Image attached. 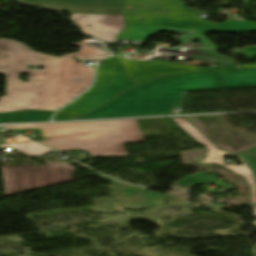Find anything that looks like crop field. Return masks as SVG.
I'll return each instance as SVG.
<instances>
[{
  "mask_svg": "<svg viewBox=\"0 0 256 256\" xmlns=\"http://www.w3.org/2000/svg\"><path fill=\"white\" fill-rule=\"evenodd\" d=\"M76 54L52 57L33 52L24 44L10 39L0 40V74H6V96L0 98V113L23 110H57L89 88L93 82L94 67L76 63L78 60H97L110 53L84 43ZM22 64V66H19ZM26 64L36 69L27 70ZM45 66L42 70L37 67ZM31 73L29 82L18 79V73Z\"/></svg>",
  "mask_w": 256,
  "mask_h": 256,
  "instance_id": "8a807250",
  "label": "crop field"
},
{
  "mask_svg": "<svg viewBox=\"0 0 256 256\" xmlns=\"http://www.w3.org/2000/svg\"><path fill=\"white\" fill-rule=\"evenodd\" d=\"M225 88L220 71L161 77L119 95L89 115L77 118L176 113L187 90Z\"/></svg>",
  "mask_w": 256,
  "mask_h": 256,
  "instance_id": "ac0d7876",
  "label": "crop field"
},
{
  "mask_svg": "<svg viewBox=\"0 0 256 256\" xmlns=\"http://www.w3.org/2000/svg\"><path fill=\"white\" fill-rule=\"evenodd\" d=\"M4 127L40 128L46 139L40 142L58 151L69 149L86 151L92 155V158L127 155L124 144L144 142L135 119Z\"/></svg>",
  "mask_w": 256,
  "mask_h": 256,
  "instance_id": "34b2d1b8",
  "label": "crop field"
},
{
  "mask_svg": "<svg viewBox=\"0 0 256 256\" xmlns=\"http://www.w3.org/2000/svg\"><path fill=\"white\" fill-rule=\"evenodd\" d=\"M124 70V69H123ZM113 57L105 59L97 66V78L94 87L60 112L71 116L81 115L109 101L119 92L132 88L136 84L126 77L124 71Z\"/></svg>",
  "mask_w": 256,
  "mask_h": 256,
  "instance_id": "412701ff",
  "label": "crop field"
},
{
  "mask_svg": "<svg viewBox=\"0 0 256 256\" xmlns=\"http://www.w3.org/2000/svg\"><path fill=\"white\" fill-rule=\"evenodd\" d=\"M70 19L81 28V31L98 37L107 44L117 41V35L125 28L124 17L117 15L72 14ZM87 24L93 29L87 27Z\"/></svg>",
  "mask_w": 256,
  "mask_h": 256,
  "instance_id": "f4fd0767",
  "label": "crop field"
},
{
  "mask_svg": "<svg viewBox=\"0 0 256 256\" xmlns=\"http://www.w3.org/2000/svg\"><path fill=\"white\" fill-rule=\"evenodd\" d=\"M227 154L240 159L243 162V164L241 166H235L234 164L225 166L223 157ZM206 156H208V157L206 158V160L203 163H218V164H221V165L227 167L231 171L245 177L247 179L248 183H250L252 186V193H251L250 201H251V203H256L255 176H254L253 172L251 171V169L248 167V165L244 162V160L240 156L224 152L220 149L208 150V153Z\"/></svg>",
  "mask_w": 256,
  "mask_h": 256,
  "instance_id": "dd49c442",
  "label": "crop field"
},
{
  "mask_svg": "<svg viewBox=\"0 0 256 256\" xmlns=\"http://www.w3.org/2000/svg\"><path fill=\"white\" fill-rule=\"evenodd\" d=\"M226 88L256 87V69L223 70Z\"/></svg>",
  "mask_w": 256,
  "mask_h": 256,
  "instance_id": "e52e79f7",
  "label": "crop field"
},
{
  "mask_svg": "<svg viewBox=\"0 0 256 256\" xmlns=\"http://www.w3.org/2000/svg\"><path fill=\"white\" fill-rule=\"evenodd\" d=\"M17 140L18 142L2 144L0 147L14 148L28 156H40L46 152L53 151L23 137L17 138Z\"/></svg>",
  "mask_w": 256,
  "mask_h": 256,
  "instance_id": "d8731c3e",
  "label": "crop field"
},
{
  "mask_svg": "<svg viewBox=\"0 0 256 256\" xmlns=\"http://www.w3.org/2000/svg\"><path fill=\"white\" fill-rule=\"evenodd\" d=\"M53 113L41 111H24L12 113V123L50 121Z\"/></svg>",
  "mask_w": 256,
  "mask_h": 256,
  "instance_id": "5a996713",
  "label": "crop field"
},
{
  "mask_svg": "<svg viewBox=\"0 0 256 256\" xmlns=\"http://www.w3.org/2000/svg\"><path fill=\"white\" fill-rule=\"evenodd\" d=\"M204 173L205 174H202V172H200L198 174L189 175L174 184L190 187L198 184L220 181L217 178L218 173H215L216 174L215 176L213 175L214 173H211V172H204ZM208 173H211V175H208Z\"/></svg>",
  "mask_w": 256,
  "mask_h": 256,
  "instance_id": "3316defc",
  "label": "crop field"
},
{
  "mask_svg": "<svg viewBox=\"0 0 256 256\" xmlns=\"http://www.w3.org/2000/svg\"><path fill=\"white\" fill-rule=\"evenodd\" d=\"M173 121H175L179 126H181L184 130H186L194 139L199 141L206 148L208 149L215 148V146L209 140H207L200 132H198L192 125H190L183 118H173Z\"/></svg>",
  "mask_w": 256,
  "mask_h": 256,
  "instance_id": "28ad6ade",
  "label": "crop field"
},
{
  "mask_svg": "<svg viewBox=\"0 0 256 256\" xmlns=\"http://www.w3.org/2000/svg\"><path fill=\"white\" fill-rule=\"evenodd\" d=\"M238 155H241L242 157H244V159L250 164V166L253 168V170L256 173V153L246 151Z\"/></svg>",
  "mask_w": 256,
  "mask_h": 256,
  "instance_id": "d1516ede",
  "label": "crop field"
},
{
  "mask_svg": "<svg viewBox=\"0 0 256 256\" xmlns=\"http://www.w3.org/2000/svg\"><path fill=\"white\" fill-rule=\"evenodd\" d=\"M63 120H74V118L64 114H60V113H57L53 118V121H63Z\"/></svg>",
  "mask_w": 256,
  "mask_h": 256,
  "instance_id": "22f410ed",
  "label": "crop field"
},
{
  "mask_svg": "<svg viewBox=\"0 0 256 256\" xmlns=\"http://www.w3.org/2000/svg\"><path fill=\"white\" fill-rule=\"evenodd\" d=\"M11 122V113L0 114V123Z\"/></svg>",
  "mask_w": 256,
  "mask_h": 256,
  "instance_id": "cbeb9de0",
  "label": "crop field"
},
{
  "mask_svg": "<svg viewBox=\"0 0 256 256\" xmlns=\"http://www.w3.org/2000/svg\"><path fill=\"white\" fill-rule=\"evenodd\" d=\"M192 54H196V53H189V52H185L184 53V55H192ZM199 55H202V54H199ZM205 56H208V55H205ZM210 57H212V56H210ZM214 58H216V57H214ZM219 59V58H218ZM234 63V62H233Z\"/></svg>",
  "mask_w": 256,
  "mask_h": 256,
  "instance_id": "5142ce71",
  "label": "crop field"
},
{
  "mask_svg": "<svg viewBox=\"0 0 256 256\" xmlns=\"http://www.w3.org/2000/svg\"><path fill=\"white\" fill-rule=\"evenodd\" d=\"M254 209V215L256 216V206H253ZM252 225H256V222L252 223Z\"/></svg>",
  "mask_w": 256,
  "mask_h": 256,
  "instance_id": "d9b57169",
  "label": "crop field"
},
{
  "mask_svg": "<svg viewBox=\"0 0 256 256\" xmlns=\"http://www.w3.org/2000/svg\"><path fill=\"white\" fill-rule=\"evenodd\" d=\"M249 151L256 152V148H254V149H252V150H249Z\"/></svg>",
  "mask_w": 256,
  "mask_h": 256,
  "instance_id": "733c2abd",
  "label": "crop field"
}]
</instances>
